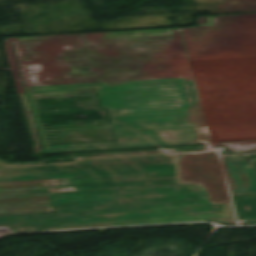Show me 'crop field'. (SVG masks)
<instances>
[{"mask_svg": "<svg viewBox=\"0 0 256 256\" xmlns=\"http://www.w3.org/2000/svg\"><path fill=\"white\" fill-rule=\"evenodd\" d=\"M228 151L256 150V142L223 144Z\"/></svg>", "mask_w": 256, "mask_h": 256, "instance_id": "crop-field-10", "label": "crop field"}, {"mask_svg": "<svg viewBox=\"0 0 256 256\" xmlns=\"http://www.w3.org/2000/svg\"><path fill=\"white\" fill-rule=\"evenodd\" d=\"M205 146L77 153L41 157L39 161L10 163L0 159V179L82 174L76 164L94 179H108L97 166L155 163L179 160L181 154L203 152Z\"/></svg>", "mask_w": 256, "mask_h": 256, "instance_id": "crop-field-3", "label": "crop field"}, {"mask_svg": "<svg viewBox=\"0 0 256 256\" xmlns=\"http://www.w3.org/2000/svg\"><path fill=\"white\" fill-rule=\"evenodd\" d=\"M232 184L240 217L244 224L256 223V172L252 161L244 162L243 155L223 156ZM255 166H256V161ZM240 196L250 207L247 218Z\"/></svg>", "mask_w": 256, "mask_h": 256, "instance_id": "crop-field-5", "label": "crop field"}, {"mask_svg": "<svg viewBox=\"0 0 256 256\" xmlns=\"http://www.w3.org/2000/svg\"><path fill=\"white\" fill-rule=\"evenodd\" d=\"M26 88L45 148V150L42 148L31 108L23 107L38 153L169 146L183 143L182 136L185 128L183 115H185L188 110L190 102L180 78L114 83L35 86ZM35 92H39V94L33 95L32 93ZM88 93H99L103 109H109L110 111L118 143L108 144L132 143L133 145L49 150V148L90 145L57 147H48V145L116 141L114 133L45 137L52 135L113 131L105 130L44 134V132L53 131L112 128V126H104L43 130L34 96ZM105 98H112L113 100H105ZM109 101H113V103L105 104V102ZM106 105H111V107H107ZM120 117H125V119H115ZM122 120H128V122H116ZM163 132H175V140L166 139ZM52 138H59V140H46ZM54 141H62V143H47Z\"/></svg>", "mask_w": 256, "mask_h": 256, "instance_id": "crop-field-2", "label": "crop field"}, {"mask_svg": "<svg viewBox=\"0 0 256 256\" xmlns=\"http://www.w3.org/2000/svg\"><path fill=\"white\" fill-rule=\"evenodd\" d=\"M146 166H155L154 164H140V165H120V166H102L100 168H111V171H125V170H144V169H159L167 168V170H156V171H137V172H122V173H110V175L116 174H130V173H148V172H166V171H175L176 175L179 174V161L175 162L174 168L170 166L166 167H147V168H127V167H146ZM117 168H127V169H117ZM107 172V171H104Z\"/></svg>", "mask_w": 256, "mask_h": 256, "instance_id": "crop-field-9", "label": "crop field"}, {"mask_svg": "<svg viewBox=\"0 0 256 256\" xmlns=\"http://www.w3.org/2000/svg\"><path fill=\"white\" fill-rule=\"evenodd\" d=\"M45 197L0 200L13 232L214 219L234 224L228 195L181 186L123 188L121 180L41 184Z\"/></svg>", "mask_w": 256, "mask_h": 256, "instance_id": "crop-field-1", "label": "crop field"}, {"mask_svg": "<svg viewBox=\"0 0 256 256\" xmlns=\"http://www.w3.org/2000/svg\"><path fill=\"white\" fill-rule=\"evenodd\" d=\"M191 102L185 118L184 143L210 142L193 78H181Z\"/></svg>", "mask_w": 256, "mask_h": 256, "instance_id": "crop-field-6", "label": "crop field"}, {"mask_svg": "<svg viewBox=\"0 0 256 256\" xmlns=\"http://www.w3.org/2000/svg\"><path fill=\"white\" fill-rule=\"evenodd\" d=\"M180 176L181 186L207 194H228L220 158L211 145H206L204 153L182 155Z\"/></svg>", "mask_w": 256, "mask_h": 256, "instance_id": "crop-field-4", "label": "crop field"}, {"mask_svg": "<svg viewBox=\"0 0 256 256\" xmlns=\"http://www.w3.org/2000/svg\"><path fill=\"white\" fill-rule=\"evenodd\" d=\"M74 166L77 169H79L84 175L38 177V178H20V179H2L0 181H16V180H31V179H47V178L89 176L84 171H82L79 167H77L76 165H74ZM62 181H75V180L74 179H66V180H50V181H34V182L1 183L0 184V199H2V198L44 196L40 183L62 182Z\"/></svg>", "mask_w": 256, "mask_h": 256, "instance_id": "crop-field-7", "label": "crop field"}, {"mask_svg": "<svg viewBox=\"0 0 256 256\" xmlns=\"http://www.w3.org/2000/svg\"><path fill=\"white\" fill-rule=\"evenodd\" d=\"M124 187L181 185L180 176L121 179Z\"/></svg>", "mask_w": 256, "mask_h": 256, "instance_id": "crop-field-8", "label": "crop field"}]
</instances>
